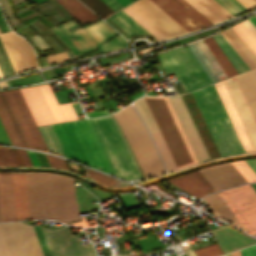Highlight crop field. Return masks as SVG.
<instances>
[{
  "label": "crop field",
  "mask_w": 256,
  "mask_h": 256,
  "mask_svg": "<svg viewBox=\"0 0 256 256\" xmlns=\"http://www.w3.org/2000/svg\"><path fill=\"white\" fill-rule=\"evenodd\" d=\"M153 137V140L162 156V159L164 161V164L168 171L176 170V166L168 152V149L160 135L159 132L151 134Z\"/></svg>",
  "instance_id": "1d83c4d3"
},
{
  "label": "crop field",
  "mask_w": 256,
  "mask_h": 256,
  "mask_svg": "<svg viewBox=\"0 0 256 256\" xmlns=\"http://www.w3.org/2000/svg\"><path fill=\"white\" fill-rule=\"evenodd\" d=\"M0 165H17L9 148L0 147Z\"/></svg>",
  "instance_id": "d23c7cc5"
},
{
  "label": "crop field",
  "mask_w": 256,
  "mask_h": 256,
  "mask_svg": "<svg viewBox=\"0 0 256 256\" xmlns=\"http://www.w3.org/2000/svg\"><path fill=\"white\" fill-rule=\"evenodd\" d=\"M0 40L16 73L36 67L35 55L23 38L8 32L0 34Z\"/></svg>",
  "instance_id": "d9b57169"
},
{
  "label": "crop field",
  "mask_w": 256,
  "mask_h": 256,
  "mask_svg": "<svg viewBox=\"0 0 256 256\" xmlns=\"http://www.w3.org/2000/svg\"><path fill=\"white\" fill-rule=\"evenodd\" d=\"M29 39L33 46L38 45L41 51L50 49L48 44L38 34Z\"/></svg>",
  "instance_id": "1f2cbd36"
},
{
  "label": "crop field",
  "mask_w": 256,
  "mask_h": 256,
  "mask_svg": "<svg viewBox=\"0 0 256 256\" xmlns=\"http://www.w3.org/2000/svg\"><path fill=\"white\" fill-rule=\"evenodd\" d=\"M134 111L129 105L113 115L120 124L145 177L165 173L158 153Z\"/></svg>",
  "instance_id": "f4fd0767"
},
{
  "label": "crop field",
  "mask_w": 256,
  "mask_h": 256,
  "mask_svg": "<svg viewBox=\"0 0 256 256\" xmlns=\"http://www.w3.org/2000/svg\"><path fill=\"white\" fill-rule=\"evenodd\" d=\"M0 256H10L5 240L0 230Z\"/></svg>",
  "instance_id": "1d79db26"
},
{
  "label": "crop field",
  "mask_w": 256,
  "mask_h": 256,
  "mask_svg": "<svg viewBox=\"0 0 256 256\" xmlns=\"http://www.w3.org/2000/svg\"><path fill=\"white\" fill-rule=\"evenodd\" d=\"M12 177L17 220L29 219L25 173H12Z\"/></svg>",
  "instance_id": "00972430"
},
{
  "label": "crop field",
  "mask_w": 256,
  "mask_h": 256,
  "mask_svg": "<svg viewBox=\"0 0 256 256\" xmlns=\"http://www.w3.org/2000/svg\"><path fill=\"white\" fill-rule=\"evenodd\" d=\"M121 4H123L124 6L133 2L132 0H118Z\"/></svg>",
  "instance_id": "c3a83c6f"
},
{
  "label": "crop field",
  "mask_w": 256,
  "mask_h": 256,
  "mask_svg": "<svg viewBox=\"0 0 256 256\" xmlns=\"http://www.w3.org/2000/svg\"><path fill=\"white\" fill-rule=\"evenodd\" d=\"M196 45L198 46V48L200 49V51L202 52V54L204 55V57L206 58V60L208 61V63L216 73V75L218 76V78L220 80L227 78V75L225 74L223 69L220 67V65L218 64V62L216 61V59L214 58L210 50L207 48L203 40L196 42ZM196 45L195 43H192L187 46L192 52V54L195 56V58L197 59V61L205 71V73L208 75L212 83L219 81V79L217 78V76L215 75V73L213 72V70L211 69V67L209 66V64L207 63V61L205 60V58L203 57V55L201 54V52L199 51Z\"/></svg>",
  "instance_id": "214f88e0"
},
{
  "label": "crop field",
  "mask_w": 256,
  "mask_h": 256,
  "mask_svg": "<svg viewBox=\"0 0 256 256\" xmlns=\"http://www.w3.org/2000/svg\"><path fill=\"white\" fill-rule=\"evenodd\" d=\"M109 18L113 20L118 26H120L130 36L134 34H147L151 36L148 32H146L140 25H138L133 19H131L122 10Z\"/></svg>",
  "instance_id": "d3111659"
},
{
  "label": "crop field",
  "mask_w": 256,
  "mask_h": 256,
  "mask_svg": "<svg viewBox=\"0 0 256 256\" xmlns=\"http://www.w3.org/2000/svg\"><path fill=\"white\" fill-rule=\"evenodd\" d=\"M232 28L256 53V36L242 22L232 26Z\"/></svg>",
  "instance_id": "d32e631a"
},
{
  "label": "crop field",
  "mask_w": 256,
  "mask_h": 256,
  "mask_svg": "<svg viewBox=\"0 0 256 256\" xmlns=\"http://www.w3.org/2000/svg\"><path fill=\"white\" fill-rule=\"evenodd\" d=\"M187 255H188V256H196V254L194 253V251L187 252Z\"/></svg>",
  "instance_id": "7312dd0a"
},
{
  "label": "crop field",
  "mask_w": 256,
  "mask_h": 256,
  "mask_svg": "<svg viewBox=\"0 0 256 256\" xmlns=\"http://www.w3.org/2000/svg\"><path fill=\"white\" fill-rule=\"evenodd\" d=\"M198 159H210L180 95L168 97Z\"/></svg>",
  "instance_id": "4a817a6b"
},
{
  "label": "crop field",
  "mask_w": 256,
  "mask_h": 256,
  "mask_svg": "<svg viewBox=\"0 0 256 256\" xmlns=\"http://www.w3.org/2000/svg\"><path fill=\"white\" fill-rule=\"evenodd\" d=\"M119 197L125 205V207L127 208V210L141 207V205L139 204V202L137 201L132 192L120 194Z\"/></svg>",
  "instance_id": "b54c1fbb"
},
{
  "label": "crop field",
  "mask_w": 256,
  "mask_h": 256,
  "mask_svg": "<svg viewBox=\"0 0 256 256\" xmlns=\"http://www.w3.org/2000/svg\"><path fill=\"white\" fill-rule=\"evenodd\" d=\"M35 230H36V234L39 240V244H40L43 256H50V253L48 251L41 229L39 227H35Z\"/></svg>",
  "instance_id": "25e5ab78"
},
{
  "label": "crop field",
  "mask_w": 256,
  "mask_h": 256,
  "mask_svg": "<svg viewBox=\"0 0 256 256\" xmlns=\"http://www.w3.org/2000/svg\"><path fill=\"white\" fill-rule=\"evenodd\" d=\"M0 29H1L2 32L10 30L8 28L6 22L4 21L2 15H1V12H0Z\"/></svg>",
  "instance_id": "ae633e8c"
},
{
  "label": "crop field",
  "mask_w": 256,
  "mask_h": 256,
  "mask_svg": "<svg viewBox=\"0 0 256 256\" xmlns=\"http://www.w3.org/2000/svg\"><path fill=\"white\" fill-rule=\"evenodd\" d=\"M0 70L4 77L15 73L3 49L1 42H0Z\"/></svg>",
  "instance_id": "c21b1889"
},
{
  "label": "crop field",
  "mask_w": 256,
  "mask_h": 256,
  "mask_svg": "<svg viewBox=\"0 0 256 256\" xmlns=\"http://www.w3.org/2000/svg\"><path fill=\"white\" fill-rule=\"evenodd\" d=\"M222 156L245 152L214 85L191 92Z\"/></svg>",
  "instance_id": "412701ff"
},
{
  "label": "crop field",
  "mask_w": 256,
  "mask_h": 256,
  "mask_svg": "<svg viewBox=\"0 0 256 256\" xmlns=\"http://www.w3.org/2000/svg\"><path fill=\"white\" fill-rule=\"evenodd\" d=\"M52 256H95L92 245H82L67 226L54 230L43 229Z\"/></svg>",
  "instance_id": "cbeb9de0"
},
{
  "label": "crop field",
  "mask_w": 256,
  "mask_h": 256,
  "mask_svg": "<svg viewBox=\"0 0 256 256\" xmlns=\"http://www.w3.org/2000/svg\"><path fill=\"white\" fill-rule=\"evenodd\" d=\"M36 9L44 15L59 12L65 21L71 19L69 15L61 7H59L54 1L46 3L41 6H37Z\"/></svg>",
  "instance_id": "e1f06a70"
},
{
  "label": "crop field",
  "mask_w": 256,
  "mask_h": 256,
  "mask_svg": "<svg viewBox=\"0 0 256 256\" xmlns=\"http://www.w3.org/2000/svg\"><path fill=\"white\" fill-rule=\"evenodd\" d=\"M247 162V164L254 170V172L256 173V158L254 159H247L245 160Z\"/></svg>",
  "instance_id": "c39391a2"
},
{
  "label": "crop field",
  "mask_w": 256,
  "mask_h": 256,
  "mask_svg": "<svg viewBox=\"0 0 256 256\" xmlns=\"http://www.w3.org/2000/svg\"><path fill=\"white\" fill-rule=\"evenodd\" d=\"M77 26L78 24L73 20L65 24L58 25V27L69 38H72L74 36L71 32H69L68 29L74 28ZM72 32L77 36V38L72 39V41L78 47L81 54L91 50H96L98 46L100 47L102 52L126 46V41L120 35L108 40L109 38L113 37L118 33L115 32L113 29H111L102 20L99 22L93 23L89 26L74 29L72 30ZM102 42L104 43L100 44Z\"/></svg>",
  "instance_id": "28ad6ade"
},
{
  "label": "crop field",
  "mask_w": 256,
  "mask_h": 256,
  "mask_svg": "<svg viewBox=\"0 0 256 256\" xmlns=\"http://www.w3.org/2000/svg\"><path fill=\"white\" fill-rule=\"evenodd\" d=\"M187 32L211 24L184 0H152Z\"/></svg>",
  "instance_id": "5142ce71"
},
{
  "label": "crop field",
  "mask_w": 256,
  "mask_h": 256,
  "mask_svg": "<svg viewBox=\"0 0 256 256\" xmlns=\"http://www.w3.org/2000/svg\"><path fill=\"white\" fill-rule=\"evenodd\" d=\"M241 253L242 256H256V245L242 249ZM241 253L239 251L234 254H231L230 256H241Z\"/></svg>",
  "instance_id": "dbb93151"
},
{
  "label": "crop field",
  "mask_w": 256,
  "mask_h": 256,
  "mask_svg": "<svg viewBox=\"0 0 256 256\" xmlns=\"http://www.w3.org/2000/svg\"><path fill=\"white\" fill-rule=\"evenodd\" d=\"M10 149H11V151H12V153H13V155H14L17 163H18V165H25L23 160H22V158H21V156H20V154H19V152H18V150L17 149H13V148H10Z\"/></svg>",
  "instance_id": "7b73153f"
},
{
  "label": "crop field",
  "mask_w": 256,
  "mask_h": 256,
  "mask_svg": "<svg viewBox=\"0 0 256 256\" xmlns=\"http://www.w3.org/2000/svg\"><path fill=\"white\" fill-rule=\"evenodd\" d=\"M243 23L256 35V27L248 19Z\"/></svg>",
  "instance_id": "d14b1444"
},
{
  "label": "crop field",
  "mask_w": 256,
  "mask_h": 256,
  "mask_svg": "<svg viewBox=\"0 0 256 256\" xmlns=\"http://www.w3.org/2000/svg\"><path fill=\"white\" fill-rule=\"evenodd\" d=\"M86 171L91 178H93L94 180L101 182L103 184L111 186L113 184V182L115 181V179L108 177L104 174H101V173H98V172H95V171H92L89 169H86Z\"/></svg>",
  "instance_id": "425ffa30"
},
{
  "label": "crop field",
  "mask_w": 256,
  "mask_h": 256,
  "mask_svg": "<svg viewBox=\"0 0 256 256\" xmlns=\"http://www.w3.org/2000/svg\"><path fill=\"white\" fill-rule=\"evenodd\" d=\"M203 199L214 215L243 228L218 193L211 194Z\"/></svg>",
  "instance_id": "eef30255"
},
{
  "label": "crop field",
  "mask_w": 256,
  "mask_h": 256,
  "mask_svg": "<svg viewBox=\"0 0 256 256\" xmlns=\"http://www.w3.org/2000/svg\"><path fill=\"white\" fill-rule=\"evenodd\" d=\"M102 18L115 12L101 0H81Z\"/></svg>",
  "instance_id": "028f5c9d"
},
{
  "label": "crop field",
  "mask_w": 256,
  "mask_h": 256,
  "mask_svg": "<svg viewBox=\"0 0 256 256\" xmlns=\"http://www.w3.org/2000/svg\"><path fill=\"white\" fill-rule=\"evenodd\" d=\"M200 172L216 190L247 183L232 163L213 166Z\"/></svg>",
  "instance_id": "bc2a9ffb"
},
{
  "label": "crop field",
  "mask_w": 256,
  "mask_h": 256,
  "mask_svg": "<svg viewBox=\"0 0 256 256\" xmlns=\"http://www.w3.org/2000/svg\"><path fill=\"white\" fill-rule=\"evenodd\" d=\"M195 253L197 254V256H216V255L222 254V251L218 246V244L216 243V244L195 250Z\"/></svg>",
  "instance_id": "5d738f31"
},
{
  "label": "crop field",
  "mask_w": 256,
  "mask_h": 256,
  "mask_svg": "<svg viewBox=\"0 0 256 256\" xmlns=\"http://www.w3.org/2000/svg\"><path fill=\"white\" fill-rule=\"evenodd\" d=\"M0 119L13 145L48 150L19 89L0 91Z\"/></svg>",
  "instance_id": "34b2d1b8"
},
{
  "label": "crop field",
  "mask_w": 256,
  "mask_h": 256,
  "mask_svg": "<svg viewBox=\"0 0 256 256\" xmlns=\"http://www.w3.org/2000/svg\"><path fill=\"white\" fill-rule=\"evenodd\" d=\"M150 110H151V113L158 125V128L164 138V141L171 153V156L177 166V168H181V167H184L186 165H190V164H193V163H197V159L190 147V144L182 130V127L175 115V112L168 100L167 97H156L166 118H167V121L178 141V144L188 162H186L178 144H177V141L166 121V118L156 100L155 97H144Z\"/></svg>",
  "instance_id": "dd49c442"
},
{
  "label": "crop field",
  "mask_w": 256,
  "mask_h": 256,
  "mask_svg": "<svg viewBox=\"0 0 256 256\" xmlns=\"http://www.w3.org/2000/svg\"><path fill=\"white\" fill-rule=\"evenodd\" d=\"M212 23L232 17L214 0H185Z\"/></svg>",
  "instance_id": "a9b5d70f"
},
{
  "label": "crop field",
  "mask_w": 256,
  "mask_h": 256,
  "mask_svg": "<svg viewBox=\"0 0 256 256\" xmlns=\"http://www.w3.org/2000/svg\"><path fill=\"white\" fill-rule=\"evenodd\" d=\"M194 173H195V174L198 176V178L207 186V188H208L211 192L215 191V189L210 185V183L202 176V174H201L199 171H195Z\"/></svg>",
  "instance_id": "db79e9e6"
},
{
  "label": "crop field",
  "mask_w": 256,
  "mask_h": 256,
  "mask_svg": "<svg viewBox=\"0 0 256 256\" xmlns=\"http://www.w3.org/2000/svg\"><path fill=\"white\" fill-rule=\"evenodd\" d=\"M18 150H19V152H20V154H21L25 164L26 165H32L30 160H29V158H28V155H27L26 151L25 150H21V149H18Z\"/></svg>",
  "instance_id": "e1d0b9f6"
},
{
  "label": "crop field",
  "mask_w": 256,
  "mask_h": 256,
  "mask_svg": "<svg viewBox=\"0 0 256 256\" xmlns=\"http://www.w3.org/2000/svg\"><path fill=\"white\" fill-rule=\"evenodd\" d=\"M2 221L16 220L11 173L0 172Z\"/></svg>",
  "instance_id": "dafd665d"
},
{
  "label": "crop field",
  "mask_w": 256,
  "mask_h": 256,
  "mask_svg": "<svg viewBox=\"0 0 256 256\" xmlns=\"http://www.w3.org/2000/svg\"><path fill=\"white\" fill-rule=\"evenodd\" d=\"M90 120L117 175L126 180L143 178L125 138L114 119L111 116H107Z\"/></svg>",
  "instance_id": "e52e79f7"
},
{
  "label": "crop field",
  "mask_w": 256,
  "mask_h": 256,
  "mask_svg": "<svg viewBox=\"0 0 256 256\" xmlns=\"http://www.w3.org/2000/svg\"><path fill=\"white\" fill-rule=\"evenodd\" d=\"M20 90L38 126L78 119L71 103L58 105L48 84Z\"/></svg>",
  "instance_id": "5a996713"
},
{
  "label": "crop field",
  "mask_w": 256,
  "mask_h": 256,
  "mask_svg": "<svg viewBox=\"0 0 256 256\" xmlns=\"http://www.w3.org/2000/svg\"><path fill=\"white\" fill-rule=\"evenodd\" d=\"M215 1H217L222 7H224L233 16L247 11V9H245L236 0H215Z\"/></svg>",
  "instance_id": "b80d0937"
},
{
  "label": "crop field",
  "mask_w": 256,
  "mask_h": 256,
  "mask_svg": "<svg viewBox=\"0 0 256 256\" xmlns=\"http://www.w3.org/2000/svg\"><path fill=\"white\" fill-rule=\"evenodd\" d=\"M223 253L256 243L255 240L224 225L211 230Z\"/></svg>",
  "instance_id": "92a150f3"
},
{
  "label": "crop field",
  "mask_w": 256,
  "mask_h": 256,
  "mask_svg": "<svg viewBox=\"0 0 256 256\" xmlns=\"http://www.w3.org/2000/svg\"><path fill=\"white\" fill-rule=\"evenodd\" d=\"M249 20L256 26V16L249 18Z\"/></svg>",
  "instance_id": "fb207236"
},
{
  "label": "crop field",
  "mask_w": 256,
  "mask_h": 256,
  "mask_svg": "<svg viewBox=\"0 0 256 256\" xmlns=\"http://www.w3.org/2000/svg\"><path fill=\"white\" fill-rule=\"evenodd\" d=\"M235 78L256 120V70Z\"/></svg>",
  "instance_id": "4177f3b9"
},
{
  "label": "crop field",
  "mask_w": 256,
  "mask_h": 256,
  "mask_svg": "<svg viewBox=\"0 0 256 256\" xmlns=\"http://www.w3.org/2000/svg\"><path fill=\"white\" fill-rule=\"evenodd\" d=\"M42 17H43V16H42ZM40 18H41V17H40ZM43 18L47 21V19H46L45 17H43ZM41 19H42V18H41ZM42 20H43V19H42ZM43 21H44V20H43ZM46 23L49 24V22H46ZM48 24H47V25H48ZM50 24H51V23H50ZM51 25L54 26L53 24H51ZM51 25H50V26H51ZM48 26H49V25H48ZM50 26H49V27H50ZM52 26H51V27H52Z\"/></svg>",
  "instance_id": "f0312440"
},
{
  "label": "crop field",
  "mask_w": 256,
  "mask_h": 256,
  "mask_svg": "<svg viewBox=\"0 0 256 256\" xmlns=\"http://www.w3.org/2000/svg\"><path fill=\"white\" fill-rule=\"evenodd\" d=\"M246 231L256 235V192L251 184L219 191Z\"/></svg>",
  "instance_id": "d1516ede"
},
{
  "label": "crop field",
  "mask_w": 256,
  "mask_h": 256,
  "mask_svg": "<svg viewBox=\"0 0 256 256\" xmlns=\"http://www.w3.org/2000/svg\"><path fill=\"white\" fill-rule=\"evenodd\" d=\"M129 6L166 38L186 32L150 0H138Z\"/></svg>",
  "instance_id": "733c2abd"
},
{
  "label": "crop field",
  "mask_w": 256,
  "mask_h": 256,
  "mask_svg": "<svg viewBox=\"0 0 256 256\" xmlns=\"http://www.w3.org/2000/svg\"><path fill=\"white\" fill-rule=\"evenodd\" d=\"M49 149L55 153L63 154V151L57 141V138L50 125L39 127Z\"/></svg>",
  "instance_id": "120bbe31"
},
{
  "label": "crop field",
  "mask_w": 256,
  "mask_h": 256,
  "mask_svg": "<svg viewBox=\"0 0 256 256\" xmlns=\"http://www.w3.org/2000/svg\"><path fill=\"white\" fill-rule=\"evenodd\" d=\"M213 38L225 52L239 73L249 70L247 65L242 61V59L237 55V53L232 49V47L227 43L220 33L213 35Z\"/></svg>",
  "instance_id": "750c4746"
},
{
  "label": "crop field",
  "mask_w": 256,
  "mask_h": 256,
  "mask_svg": "<svg viewBox=\"0 0 256 256\" xmlns=\"http://www.w3.org/2000/svg\"><path fill=\"white\" fill-rule=\"evenodd\" d=\"M29 216L64 223L80 220L73 179L66 176L26 173Z\"/></svg>",
  "instance_id": "8a807250"
},
{
  "label": "crop field",
  "mask_w": 256,
  "mask_h": 256,
  "mask_svg": "<svg viewBox=\"0 0 256 256\" xmlns=\"http://www.w3.org/2000/svg\"><path fill=\"white\" fill-rule=\"evenodd\" d=\"M85 114L88 117H92V116L105 115V114H108V112H107V110H102V111L88 112V113H85Z\"/></svg>",
  "instance_id": "0f1d7ab4"
},
{
  "label": "crop field",
  "mask_w": 256,
  "mask_h": 256,
  "mask_svg": "<svg viewBox=\"0 0 256 256\" xmlns=\"http://www.w3.org/2000/svg\"><path fill=\"white\" fill-rule=\"evenodd\" d=\"M0 227L11 256H42L33 226L12 222Z\"/></svg>",
  "instance_id": "22f410ed"
},
{
  "label": "crop field",
  "mask_w": 256,
  "mask_h": 256,
  "mask_svg": "<svg viewBox=\"0 0 256 256\" xmlns=\"http://www.w3.org/2000/svg\"><path fill=\"white\" fill-rule=\"evenodd\" d=\"M107 5H109L112 9H114L115 11L124 7L123 5H121L118 1L116 0H103Z\"/></svg>",
  "instance_id": "0765c3eb"
},
{
  "label": "crop field",
  "mask_w": 256,
  "mask_h": 256,
  "mask_svg": "<svg viewBox=\"0 0 256 256\" xmlns=\"http://www.w3.org/2000/svg\"><path fill=\"white\" fill-rule=\"evenodd\" d=\"M26 151H27V150H26ZM27 153H28V155H29V157H30V160H31L32 164H33V165L40 166V164H39V162H38V160H37V158H36L34 152L27 151Z\"/></svg>",
  "instance_id": "78b8030e"
},
{
  "label": "crop field",
  "mask_w": 256,
  "mask_h": 256,
  "mask_svg": "<svg viewBox=\"0 0 256 256\" xmlns=\"http://www.w3.org/2000/svg\"><path fill=\"white\" fill-rule=\"evenodd\" d=\"M48 58V62L50 63H54V62H58V61H62V60H68L69 57L66 54V52L63 53H58L52 56L47 57Z\"/></svg>",
  "instance_id": "0fb4a251"
},
{
  "label": "crop field",
  "mask_w": 256,
  "mask_h": 256,
  "mask_svg": "<svg viewBox=\"0 0 256 256\" xmlns=\"http://www.w3.org/2000/svg\"><path fill=\"white\" fill-rule=\"evenodd\" d=\"M248 182H256V174L244 160L232 162Z\"/></svg>",
  "instance_id": "c035e120"
},
{
  "label": "crop field",
  "mask_w": 256,
  "mask_h": 256,
  "mask_svg": "<svg viewBox=\"0 0 256 256\" xmlns=\"http://www.w3.org/2000/svg\"><path fill=\"white\" fill-rule=\"evenodd\" d=\"M51 126L67 157L116 175L89 119Z\"/></svg>",
  "instance_id": "ac0d7876"
},
{
  "label": "crop field",
  "mask_w": 256,
  "mask_h": 256,
  "mask_svg": "<svg viewBox=\"0 0 256 256\" xmlns=\"http://www.w3.org/2000/svg\"><path fill=\"white\" fill-rule=\"evenodd\" d=\"M2 86H6V83H5V81H3V82H0V87H2Z\"/></svg>",
  "instance_id": "180be81f"
},
{
  "label": "crop field",
  "mask_w": 256,
  "mask_h": 256,
  "mask_svg": "<svg viewBox=\"0 0 256 256\" xmlns=\"http://www.w3.org/2000/svg\"><path fill=\"white\" fill-rule=\"evenodd\" d=\"M182 176L192 186V188L198 193L200 197L210 193L206 186L197 178V176L193 172ZM182 176L175 177L167 181L190 193L191 195L199 198L197 193L190 187V185L184 180Z\"/></svg>",
  "instance_id": "730fd06b"
},
{
  "label": "crop field",
  "mask_w": 256,
  "mask_h": 256,
  "mask_svg": "<svg viewBox=\"0 0 256 256\" xmlns=\"http://www.w3.org/2000/svg\"><path fill=\"white\" fill-rule=\"evenodd\" d=\"M134 106L146 123L150 133L159 131L144 98L142 97L139 100L135 101Z\"/></svg>",
  "instance_id": "bd1437ed"
},
{
  "label": "crop field",
  "mask_w": 256,
  "mask_h": 256,
  "mask_svg": "<svg viewBox=\"0 0 256 256\" xmlns=\"http://www.w3.org/2000/svg\"><path fill=\"white\" fill-rule=\"evenodd\" d=\"M68 13L82 24L97 19V16L77 0H56Z\"/></svg>",
  "instance_id": "ae1a2a85"
},
{
  "label": "crop field",
  "mask_w": 256,
  "mask_h": 256,
  "mask_svg": "<svg viewBox=\"0 0 256 256\" xmlns=\"http://www.w3.org/2000/svg\"><path fill=\"white\" fill-rule=\"evenodd\" d=\"M82 220H83V221L76 222V223H72V224H69V225H74V226H87L84 217H82Z\"/></svg>",
  "instance_id": "ade564c9"
},
{
  "label": "crop field",
  "mask_w": 256,
  "mask_h": 256,
  "mask_svg": "<svg viewBox=\"0 0 256 256\" xmlns=\"http://www.w3.org/2000/svg\"><path fill=\"white\" fill-rule=\"evenodd\" d=\"M226 31L256 64V54L247 46V44L236 34V32L231 27L226 29Z\"/></svg>",
  "instance_id": "03da06ac"
},
{
  "label": "crop field",
  "mask_w": 256,
  "mask_h": 256,
  "mask_svg": "<svg viewBox=\"0 0 256 256\" xmlns=\"http://www.w3.org/2000/svg\"><path fill=\"white\" fill-rule=\"evenodd\" d=\"M65 43H67L72 52L75 54V55H79L80 52L78 51V49L76 48V46H74L71 41L57 28V27H54V28H51Z\"/></svg>",
  "instance_id": "89e229c0"
},
{
  "label": "crop field",
  "mask_w": 256,
  "mask_h": 256,
  "mask_svg": "<svg viewBox=\"0 0 256 256\" xmlns=\"http://www.w3.org/2000/svg\"><path fill=\"white\" fill-rule=\"evenodd\" d=\"M167 72H175L186 91L211 84L187 46L156 55Z\"/></svg>",
  "instance_id": "3316defc"
},
{
  "label": "crop field",
  "mask_w": 256,
  "mask_h": 256,
  "mask_svg": "<svg viewBox=\"0 0 256 256\" xmlns=\"http://www.w3.org/2000/svg\"><path fill=\"white\" fill-rule=\"evenodd\" d=\"M32 12H34V11H33L32 9H30V10H28V11L22 13V14H19L18 16H19L20 18H22V17H24V16H26V15L32 13Z\"/></svg>",
  "instance_id": "c5b07064"
},
{
  "label": "crop field",
  "mask_w": 256,
  "mask_h": 256,
  "mask_svg": "<svg viewBox=\"0 0 256 256\" xmlns=\"http://www.w3.org/2000/svg\"><path fill=\"white\" fill-rule=\"evenodd\" d=\"M46 155V154H45ZM48 162L50 164L51 167H55V168H64V169H68V166L65 162V160L59 159V158H55L49 155H46Z\"/></svg>",
  "instance_id": "73cf0c24"
},
{
  "label": "crop field",
  "mask_w": 256,
  "mask_h": 256,
  "mask_svg": "<svg viewBox=\"0 0 256 256\" xmlns=\"http://www.w3.org/2000/svg\"><path fill=\"white\" fill-rule=\"evenodd\" d=\"M122 10L126 12L130 17H132L136 22H138L142 27H144L148 32H150L154 37H156L158 40L165 38L164 36H162L163 34L161 35L156 29H154L149 23H147L129 6Z\"/></svg>",
  "instance_id": "5866460e"
},
{
  "label": "crop field",
  "mask_w": 256,
  "mask_h": 256,
  "mask_svg": "<svg viewBox=\"0 0 256 256\" xmlns=\"http://www.w3.org/2000/svg\"><path fill=\"white\" fill-rule=\"evenodd\" d=\"M228 256H229V254H228Z\"/></svg>",
  "instance_id": "c821d689"
},
{
  "label": "crop field",
  "mask_w": 256,
  "mask_h": 256,
  "mask_svg": "<svg viewBox=\"0 0 256 256\" xmlns=\"http://www.w3.org/2000/svg\"><path fill=\"white\" fill-rule=\"evenodd\" d=\"M252 186L254 187V189L256 190V184H252ZM256 192V191H255Z\"/></svg>",
  "instance_id": "1f1604b0"
},
{
  "label": "crop field",
  "mask_w": 256,
  "mask_h": 256,
  "mask_svg": "<svg viewBox=\"0 0 256 256\" xmlns=\"http://www.w3.org/2000/svg\"><path fill=\"white\" fill-rule=\"evenodd\" d=\"M3 76H2V74H1V72H0V78H2Z\"/></svg>",
  "instance_id": "819c52e7"
},
{
  "label": "crop field",
  "mask_w": 256,
  "mask_h": 256,
  "mask_svg": "<svg viewBox=\"0 0 256 256\" xmlns=\"http://www.w3.org/2000/svg\"><path fill=\"white\" fill-rule=\"evenodd\" d=\"M0 143L12 145L5 130H4V127L1 123V121H0Z\"/></svg>",
  "instance_id": "9d1cf04e"
},
{
  "label": "crop field",
  "mask_w": 256,
  "mask_h": 256,
  "mask_svg": "<svg viewBox=\"0 0 256 256\" xmlns=\"http://www.w3.org/2000/svg\"><path fill=\"white\" fill-rule=\"evenodd\" d=\"M214 85L245 151H256V122L235 78Z\"/></svg>",
  "instance_id": "d8731c3e"
},
{
  "label": "crop field",
  "mask_w": 256,
  "mask_h": 256,
  "mask_svg": "<svg viewBox=\"0 0 256 256\" xmlns=\"http://www.w3.org/2000/svg\"><path fill=\"white\" fill-rule=\"evenodd\" d=\"M1 33V32H0Z\"/></svg>",
  "instance_id": "a0ae1fb6"
},
{
  "label": "crop field",
  "mask_w": 256,
  "mask_h": 256,
  "mask_svg": "<svg viewBox=\"0 0 256 256\" xmlns=\"http://www.w3.org/2000/svg\"><path fill=\"white\" fill-rule=\"evenodd\" d=\"M220 33L233 47V49L238 53V55L243 59V61L248 65L250 69L256 68L254 62L245 54V52L237 45V43L228 35V33L225 30Z\"/></svg>",
  "instance_id": "0bd39190"
},
{
  "label": "crop field",
  "mask_w": 256,
  "mask_h": 256,
  "mask_svg": "<svg viewBox=\"0 0 256 256\" xmlns=\"http://www.w3.org/2000/svg\"><path fill=\"white\" fill-rule=\"evenodd\" d=\"M237 1L240 2L248 10L256 7V0H237Z\"/></svg>",
  "instance_id": "447ae74e"
}]
</instances>
